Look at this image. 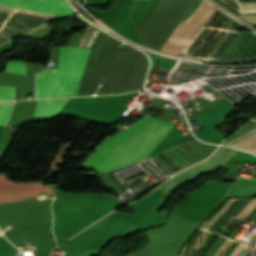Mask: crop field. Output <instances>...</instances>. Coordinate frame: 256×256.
Masks as SVG:
<instances>
[{
  "instance_id": "dd49c442",
  "label": "crop field",
  "mask_w": 256,
  "mask_h": 256,
  "mask_svg": "<svg viewBox=\"0 0 256 256\" xmlns=\"http://www.w3.org/2000/svg\"><path fill=\"white\" fill-rule=\"evenodd\" d=\"M41 191L47 192L46 196L53 194L48 187L42 184H16L0 175V203L39 197Z\"/></svg>"
},
{
  "instance_id": "28ad6ade",
  "label": "crop field",
  "mask_w": 256,
  "mask_h": 256,
  "mask_svg": "<svg viewBox=\"0 0 256 256\" xmlns=\"http://www.w3.org/2000/svg\"><path fill=\"white\" fill-rule=\"evenodd\" d=\"M5 71L25 74V63L16 60L10 61L7 63Z\"/></svg>"
},
{
  "instance_id": "22f410ed",
  "label": "crop field",
  "mask_w": 256,
  "mask_h": 256,
  "mask_svg": "<svg viewBox=\"0 0 256 256\" xmlns=\"http://www.w3.org/2000/svg\"><path fill=\"white\" fill-rule=\"evenodd\" d=\"M16 89L17 88L0 86V100L15 99Z\"/></svg>"
},
{
  "instance_id": "f4fd0767",
  "label": "crop field",
  "mask_w": 256,
  "mask_h": 256,
  "mask_svg": "<svg viewBox=\"0 0 256 256\" xmlns=\"http://www.w3.org/2000/svg\"><path fill=\"white\" fill-rule=\"evenodd\" d=\"M214 10L215 8L203 2L198 12L194 16V18L188 24L181 22L180 25L176 28V30L172 33V35L169 38L177 37V38L193 39L194 36L199 32V30L205 24V22L212 15ZM184 44L185 43H181V42L166 41L160 50L180 55L182 52V50L180 49L183 47Z\"/></svg>"
},
{
  "instance_id": "5a996713",
  "label": "crop field",
  "mask_w": 256,
  "mask_h": 256,
  "mask_svg": "<svg viewBox=\"0 0 256 256\" xmlns=\"http://www.w3.org/2000/svg\"><path fill=\"white\" fill-rule=\"evenodd\" d=\"M245 196H256V180L238 178L227 198Z\"/></svg>"
},
{
  "instance_id": "8a807250",
  "label": "crop field",
  "mask_w": 256,
  "mask_h": 256,
  "mask_svg": "<svg viewBox=\"0 0 256 256\" xmlns=\"http://www.w3.org/2000/svg\"><path fill=\"white\" fill-rule=\"evenodd\" d=\"M171 128L147 116L131 128L106 138L84 165L100 171L116 170L142 160Z\"/></svg>"
},
{
  "instance_id": "e52e79f7",
  "label": "crop field",
  "mask_w": 256,
  "mask_h": 256,
  "mask_svg": "<svg viewBox=\"0 0 256 256\" xmlns=\"http://www.w3.org/2000/svg\"><path fill=\"white\" fill-rule=\"evenodd\" d=\"M68 100L69 99L38 101L32 122L48 120L56 116L60 108L66 104Z\"/></svg>"
},
{
  "instance_id": "3316defc",
  "label": "crop field",
  "mask_w": 256,
  "mask_h": 256,
  "mask_svg": "<svg viewBox=\"0 0 256 256\" xmlns=\"http://www.w3.org/2000/svg\"><path fill=\"white\" fill-rule=\"evenodd\" d=\"M74 12L66 0H17Z\"/></svg>"
},
{
  "instance_id": "cbeb9de0",
  "label": "crop field",
  "mask_w": 256,
  "mask_h": 256,
  "mask_svg": "<svg viewBox=\"0 0 256 256\" xmlns=\"http://www.w3.org/2000/svg\"><path fill=\"white\" fill-rule=\"evenodd\" d=\"M6 40H8V39L0 38V43L4 42V41H6Z\"/></svg>"
},
{
  "instance_id": "d1516ede",
  "label": "crop field",
  "mask_w": 256,
  "mask_h": 256,
  "mask_svg": "<svg viewBox=\"0 0 256 256\" xmlns=\"http://www.w3.org/2000/svg\"><path fill=\"white\" fill-rule=\"evenodd\" d=\"M13 102H0V125H5Z\"/></svg>"
},
{
  "instance_id": "412701ff",
  "label": "crop field",
  "mask_w": 256,
  "mask_h": 256,
  "mask_svg": "<svg viewBox=\"0 0 256 256\" xmlns=\"http://www.w3.org/2000/svg\"><path fill=\"white\" fill-rule=\"evenodd\" d=\"M236 153L238 151L220 147L210 158L177 174L158 188L164 192H170L182 182L220 167Z\"/></svg>"
},
{
  "instance_id": "34b2d1b8",
  "label": "crop field",
  "mask_w": 256,
  "mask_h": 256,
  "mask_svg": "<svg viewBox=\"0 0 256 256\" xmlns=\"http://www.w3.org/2000/svg\"><path fill=\"white\" fill-rule=\"evenodd\" d=\"M197 0H160L137 29L143 43L158 51Z\"/></svg>"
},
{
  "instance_id": "ac0d7876",
  "label": "crop field",
  "mask_w": 256,
  "mask_h": 256,
  "mask_svg": "<svg viewBox=\"0 0 256 256\" xmlns=\"http://www.w3.org/2000/svg\"><path fill=\"white\" fill-rule=\"evenodd\" d=\"M89 50L60 47L58 68L36 75V98L76 96Z\"/></svg>"
},
{
  "instance_id": "d8731c3e",
  "label": "crop field",
  "mask_w": 256,
  "mask_h": 256,
  "mask_svg": "<svg viewBox=\"0 0 256 256\" xmlns=\"http://www.w3.org/2000/svg\"><path fill=\"white\" fill-rule=\"evenodd\" d=\"M0 4L42 12V13H47V14H52V15H57V16H62V17L70 16L73 14L72 12H67V11H62V10H57V9H52V8H47V7H42V6L12 1V0H0Z\"/></svg>"
}]
</instances>
